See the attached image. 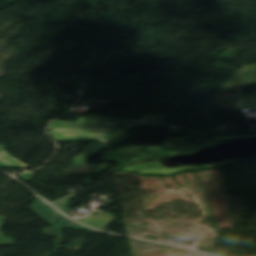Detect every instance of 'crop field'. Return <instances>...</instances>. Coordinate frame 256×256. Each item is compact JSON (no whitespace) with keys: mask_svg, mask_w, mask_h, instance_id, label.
<instances>
[{"mask_svg":"<svg viewBox=\"0 0 256 256\" xmlns=\"http://www.w3.org/2000/svg\"><path fill=\"white\" fill-rule=\"evenodd\" d=\"M73 221H71L70 219H67L65 218L64 216L61 215L58 223H57V226L58 228H67V229H75V230H85V231H90L92 229H89L87 227H84V226H79V224H74L72 223ZM64 224H68L67 227H64ZM71 227H74V228H71Z\"/></svg>","mask_w":256,"mask_h":256,"instance_id":"crop-field-6","label":"crop field"},{"mask_svg":"<svg viewBox=\"0 0 256 256\" xmlns=\"http://www.w3.org/2000/svg\"><path fill=\"white\" fill-rule=\"evenodd\" d=\"M5 146L0 145V167L1 168H20L26 172V167H29L15 158L9 156V154L3 149Z\"/></svg>","mask_w":256,"mask_h":256,"instance_id":"crop-field-5","label":"crop field"},{"mask_svg":"<svg viewBox=\"0 0 256 256\" xmlns=\"http://www.w3.org/2000/svg\"><path fill=\"white\" fill-rule=\"evenodd\" d=\"M104 148H114L110 146H102L91 143L89 146H87L84 151L77 157L74 158L73 164L74 165H84L87 164V159L91 157L92 155L98 154L101 149Z\"/></svg>","mask_w":256,"mask_h":256,"instance_id":"crop-field-4","label":"crop field"},{"mask_svg":"<svg viewBox=\"0 0 256 256\" xmlns=\"http://www.w3.org/2000/svg\"><path fill=\"white\" fill-rule=\"evenodd\" d=\"M37 215H39L43 220L50 224L54 228L43 229V234L52 236L55 238V224L54 221L60 215L58 212L50 208L46 203H44L40 198L34 200V205L29 207Z\"/></svg>","mask_w":256,"mask_h":256,"instance_id":"crop-field-2","label":"crop field"},{"mask_svg":"<svg viewBox=\"0 0 256 256\" xmlns=\"http://www.w3.org/2000/svg\"><path fill=\"white\" fill-rule=\"evenodd\" d=\"M117 199H119V198H115V199H113V200H111V201H109V202H107V203H105V204H103V205H101L99 207L102 209V208L106 207L107 205H109L110 203L114 202Z\"/></svg>","mask_w":256,"mask_h":256,"instance_id":"crop-field-8","label":"crop field"},{"mask_svg":"<svg viewBox=\"0 0 256 256\" xmlns=\"http://www.w3.org/2000/svg\"><path fill=\"white\" fill-rule=\"evenodd\" d=\"M114 221H116L114 215L100 211L83 223L102 230Z\"/></svg>","mask_w":256,"mask_h":256,"instance_id":"crop-field-3","label":"crop field"},{"mask_svg":"<svg viewBox=\"0 0 256 256\" xmlns=\"http://www.w3.org/2000/svg\"><path fill=\"white\" fill-rule=\"evenodd\" d=\"M117 126H120L118 129ZM132 127H164V115H144L141 120L85 117L76 122L55 120L49 129L61 142L94 140L108 144L125 141Z\"/></svg>","mask_w":256,"mask_h":256,"instance_id":"crop-field-1","label":"crop field"},{"mask_svg":"<svg viewBox=\"0 0 256 256\" xmlns=\"http://www.w3.org/2000/svg\"><path fill=\"white\" fill-rule=\"evenodd\" d=\"M35 174H36V173H34V172H30V173H26V174L19 175L18 177H19L22 181H24V182H26V181L31 182V180L33 179V177L35 176Z\"/></svg>","mask_w":256,"mask_h":256,"instance_id":"crop-field-7","label":"crop field"}]
</instances>
